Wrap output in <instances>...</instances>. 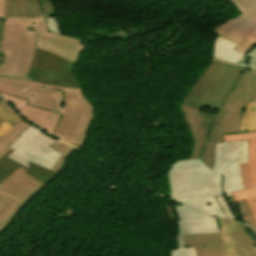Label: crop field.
Returning <instances> with one entry per match:
<instances>
[{
    "instance_id": "1",
    "label": "crop field",
    "mask_w": 256,
    "mask_h": 256,
    "mask_svg": "<svg viewBox=\"0 0 256 256\" xmlns=\"http://www.w3.org/2000/svg\"><path fill=\"white\" fill-rule=\"evenodd\" d=\"M239 163H248V140L216 143L212 170L199 159L176 161L167 174L170 199L202 208L213 217H225L214 198L225 195L241 221L231 194L244 190Z\"/></svg>"
},
{
    "instance_id": "2",
    "label": "crop field",
    "mask_w": 256,
    "mask_h": 256,
    "mask_svg": "<svg viewBox=\"0 0 256 256\" xmlns=\"http://www.w3.org/2000/svg\"><path fill=\"white\" fill-rule=\"evenodd\" d=\"M0 93L27 99L28 105L62 114L52 136L75 147L82 146L93 108L80 89L0 77Z\"/></svg>"
},
{
    "instance_id": "3",
    "label": "crop field",
    "mask_w": 256,
    "mask_h": 256,
    "mask_svg": "<svg viewBox=\"0 0 256 256\" xmlns=\"http://www.w3.org/2000/svg\"><path fill=\"white\" fill-rule=\"evenodd\" d=\"M36 47L57 54L74 65L83 49L79 40L48 31L45 17L3 19L1 52L5 57L1 75L25 78Z\"/></svg>"
},
{
    "instance_id": "4",
    "label": "crop field",
    "mask_w": 256,
    "mask_h": 256,
    "mask_svg": "<svg viewBox=\"0 0 256 256\" xmlns=\"http://www.w3.org/2000/svg\"><path fill=\"white\" fill-rule=\"evenodd\" d=\"M179 218L177 249H170V256H196L194 248H184L183 235L220 232L224 245L201 247L202 256H256V241L243 227L228 220L213 219L201 210L188 205L173 206Z\"/></svg>"
},
{
    "instance_id": "5",
    "label": "crop field",
    "mask_w": 256,
    "mask_h": 256,
    "mask_svg": "<svg viewBox=\"0 0 256 256\" xmlns=\"http://www.w3.org/2000/svg\"><path fill=\"white\" fill-rule=\"evenodd\" d=\"M243 69L210 62L181 104L217 111Z\"/></svg>"
},
{
    "instance_id": "6",
    "label": "crop field",
    "mask_w": 256,
    "mask_h": 256,
    "mask_svg": "<svg viewBox=\"0 0 256 256\" xmlns=\"http://www.w3.org/2000/svg\"><path fill=\"white\" fill-rule=\"evenodd\" d=\"M256 98V71L244 69L231 93L212 121L207 142L222 143L221 132L240 131L242 111L248 101Z\"/></svg>"
},
{
    "instance_id": "7",
    "label": "crop field",
    "mask_w": 256,
    "mask_h": 256,
    "mask_svg": "<svg viewBox=\"0 0 256 256\" xmlns=\"http://www.w3.org/2000/svg\"><path fill=\"white\" fill-rule=\"evenodd\" d=\"M20 136L8 147L14 150L8 158L27 168L30 166L27 163L32 162L52 170L62 155L48 147L56 140L32 125Z\"/></svg>"
},
{
    "instance_id": "8",
    "label": "crop field",
    "mask_w": 256,
    "mask_h": 256,
    "mask_svg": "<svg viewBox=\"0 0 256 256\" xmlns=\"http://www.w3.org/2000/svg\"><path fill=\"white\" fill-rule=\"evenodd\" d=\"M72 68L73 64L68 61L37 48L26 79L62 87L80 88L72 74Z\"/></svg>"
},
{
    "instance_id": "9",
    "label": "crop field",
    "mask_w": 256,
    "mask_h": 256,
    "mask_svg": "<svg viewBox=\"0 0 256 256\" xmlns=\"http://www.w3.org/2000/svg\"><path fill=\"white\" fill-rule=\"evenodd\" d=\"M180 109L193 139L190 159L199 158L212 169L215 143H206V138L214 114L184 105Z\"/></svg>"
},
{
    "instance_id": "10",
    "label": "crop field",
    "mask_w": 256,
    "mask_h": 256,
    "mask_svg": "<svg viewBox=\"0 0 256 256\" xmlns=\"http://www.w3.org/2000/svg\"><path fill=\"white\" fill-rule=\"evenodd\" d=\"M25 172L26 170L19 167L0 183L1 189L20 198L18 201L14 199L0 212V231L5 229L10 223V218L16 210L45 185L36 181Z\"/></svg>"
},
{
    "instance_id": "11",
    "label": "crop field",
    "mask_w": 256,
    "mask_h": 256,
    "mask_svg": "<svg viewBox=\"0 0 256 256\" xmlns=\"http://www.w3.org/2000/svg\"><path fill=\"white\" fill-rule=\"evenodd\" d=\"M240 15L216 28L218 35L239 44L245 37L256 43V0H229Z\"/></svg>"
},
{
    "instance_id": "12",
    "label": "crop field",
    "mask_w": 256,
    "mask_h": 256,
    "mask_svg": "<svg viewBox=\"0 0 256 256\" xmlns=\"http://www.w3.org/2000/svg\"><path fill=\"white\" fill-rule=\"evenodd\" d=\"M2 96L8 100V102L19 114H21L24 118H26L39 129L51 135L55 131L61 115L28 106L26 105V100L5 95Z\"/></svg>"
},
{
    "instance_id": "13",
    "label": "crop field",
    "mask_w": 256,
    "mask_h": 256,
    "mask_svg": "<svg viewBox=\"0 0 256 256\" xmlns=\"http://www.w3.org/2000/svg\"><path fill=\"white\" fill-rule=\"evenodd\" d=\"M36 16H43L37 0H6L4 17L27 18Z\"/></svg>"
},
{
    "instance_id": "14",
    "label": "crop field",
    "mask_w": 256,
    "mask_h": 256,
    "mask_svg": "<svg viewBox=\"0 0 256 256\" xmlns=\"http://www.w3.org/2000/svg\"><path fill=\"white\" fill-rule=\"evenodd\" d=\"M12 152L10 150L7 154H5L1 159H0V170H3L7 173H12L14 170H16L19 166V164L7 159L6 157ZM31 166L27 169L23 166V168L27 169L28 171L26 172L30 176L34 177L35 179L46 183L48 182L54 175L57 173H54L46 168L37 166L35 164L29 163Z\"/></svg>"
},
{
    "instance_id": "15",
    "label": "crop field",
    "mask_w": 256,
    "mask_h": 256,
    "mask_svg": "<svg viewBox=\"0 0 256 256\" xmlns=\"http://www.w3.org/2000/svg\"><path fill=\"white\" fill-rule=\"evenodd\" d=\"M236 46L237 44L217 35L213 44L212 57L239 64L246 54L233 50Z\"/></svg>"
},
{
    "instance_id": "16",
    "label": "crop field",
    "mask_w": 256,
    "mask_h": 256,
    "mask_svg": "<svg viewBox=\"0 0 256 256\" xmlns=\"http://www.w3.org/2000/svg\"><path fill=\"white\" fill-rule=\"evenodd\" d=\"M185 247H195L197 256H201V246H212L223 244L220 234H204V235H185L184 236Z\"/></svg>"
},
{
    "instance_id": "17",
    "label": "crop field",
    "mask_w": 256,
    "mask_h": 256,
    "mask_svg": "<svg viewBox=\"0 0 256 256\" xmlns=\"http://www.w3.org/2000/svg\"><path fill=\"white\" fill-rule=\"evenodd\" d=\"M249 139V166L254 187L256 186V133L224 136V141Z\"/></svg>"
},
{
    "instance_id": "18",
    "label": "crop field",
    "mask_w": 256,
    "mask_h": 256,
    "mask_svg": "<svg viewBox=\"0 0 256 256\" xmlns=\"http://www.w3.org/2000/svg\"><path fill=\"white\" fill-rule=\"evenodd\" d=\"M29 126L30 124L22 119L11 130H9L5 135L0 138V158L10 150L7 147L17 138H19L18 135Z\"/></svg>"
},
{
    "instance_id": "19",
    "label": "crop field",
    "mask_w": 256,
    "mask_h": 256,
    "mask_svg": "<svg viewBox=\"0 0 256 256\" xmlns=\"http://www.w3.org/2000/svg\"><path fill=\"white\" fill-rule=\"evenodd\" d=\"M244 129L256 130V104L249 103L246 105L241 121V131Z\"/></svg>"
},
{
    "instance_id": "20",
    "label": "crop field",
    "mask_w": 256,
    "mask_h": 256,
    "mask_svg": "<svg viewBox=\"0 0 256 256\" xmlns=\"http://www.w3.org/2000/svg\"><path fill=\"white\" fill-rule=\"evenodd\" d=\"M0 118L12 127L22 119L6 101L0 103Z\"/></svg>"
},
{
    "instance_id": "21",
    "label": "crop field",
    "mask_w": 256,
    "mask_h": 256,
    "mask_svg": "<svg viewBox=\"0 0 256 256\" xmlns=\"http://www.w3.org/2000/svg\"><path fill=\"white\" fill-rule=\"evenodd\" d=\"M49 147L55 149L56 151L62 153V157L59 159V161L56 163L55 167L53 168V171L57 172L59 171L62 163L66 160V158L71 154V152L73 150H75L74 148L61 143L59 141L54 142L52 145H50Z\"/></svg>"
},
{
    "instance_id": "22",
    "label": "crop field",
    "mask_w": 256,
    "mask_h": 256,
    "mask_svg": "<svg viewBox=\"0 0 256 256\" xmlns=\"http://www.w3.org/2000/svg\"><path fill=\"white\" fill-rule=\"evenodd\" d=\"M236 203H237L242 221L245 222L247 225L251 226L256 231V223L250 214V211L248 209V206L245 200L238 201Z\"/></svg>"
},
{
    "instance_id": "23",
    "label": "crop field",
    "mask_w": 256,
    "mask_h": 256,
    "mask_svg": "<svg viewBox=\"0 0 256 256\" xmlns=\"http://www.w3.org/2000/svg\"><path fill=\"white\" fill-rule=\"evenodd\" d=\"M239 67L256 70V46L245 56Z\"/></svg>"
},
{
    "instance_id": "24",
    "label": "crop field",
    "mask_w": 256,
    "mask_h": 256,
    "mask_svg": "<svg viewBox=\"0 0 256 256\" xmlns=\"http://www.w3.org/2000/svg\"><path fill=\"white\" fill-rule=\"evenodd\" d=\"M232 194H233L235 201L243 200V199H246V201H247V200L256 198V188H252V189H249L246 191H241V192H235Z\"/></svg>"
},
{
    "instance_id": "25",
    "label": "crop field",
    "mask_w": 256,
    "mask_h": 256,
    "mask_svg": "<svg viewBox=\"0 0 256 256\" xmlns=\"http://www.w3.org/2000/svg\"><path fill=\"white\" fill-rule=\"evenodd\" d=\"M241 166V172H242V177H243V182H244V188L249 189L252 188V181H251V176H250V171H249V166L248 164H240Z\"/></svg>"
},
{
    "instance_id": "26",
    "label": "crop field",
    "mask_w": 256,
    "mask_h": 256,
    "mask_svg": "<svg viewBox=\"0 0 256 256\" xmlns=\"http://www.w3.org/2000/svg\"><path fill=\"white\" fill-rule=\"evenodd\" d=\"M216 199H217L219 205L221 206L223 212L225 213L226 217H227V218L236 219L235 216H234V214L232 213V211H231V209H230V207H229V205H228V203H227L225 197H224V196H222V197H216ZM236 220H237V219H236Z\"/></svg>"
},
{
    "instance_id": "27",
    "label": "crop field",
    "mask_w": 256,
    "mask_h": 256,
    "mask_svg": "<svg viewBox=\"0 0 256 256\" xmlns=\"http://www.w3.org/2000/svg\"><path fill=\"white\" fill-rule=\"evenodd\" d=\"M256 44L253 42L249 41L248 39H244L236 48L235 50L248 53Z\"/></svg>"
},
{
    "instance_id": "28",
    "label": "crop field",
    "mask_w": 256,
    "mask_h": 256,
    "mask_svg": "<svg viewBox=\"0 0 256 256\" xmlns=\"http://www.w3.org/2000/svg\"><path fill=\"white\" fill-rule=\"evenodd\" d=\"M45 16L54 14L53 5L50 0H38Z\"/></svg>"
},
{
    "instance_id": "29",
    "label": "crop field",
    "mask_w": 256,
    "mask_h": 256,
    "mask_svg": "<svg viewBox=\"0 0 256 256\" xmlns=\"http://www.w3.org/2000/svg\"><path fill=\"white\" fill-rule=\"evenodd\" d=\"M46 20L49 30L59 34V28L55 19L53 17H46Z\"/></svg>"
},
{
    "instance_id": "30",
    "label": "crop field",
    "mask_w": 256,
    "mask_h": 256,
    "mask_svg": "<svg viewBox=\"0 0 256 256\" xmlns=\"http://www.w3.org/2000/svg\"><path fill=\"white\" fill-rule=\"evenodd\" d=\"M13 200V198L3 194L0 192V211L7 205L9 204L11 201ZM8 206V205H7ZM6 206V207H7Z\"/></svg>"
},
{
    "instance_id": "31",
    "label": "crop field",
    "mask_w": 256,
    "mask_h": 256,
    "mask_svg": "<svg viewBox=\"0 0 256 256\" xmlns=\"http://www.w3.org/2000/svg\"><path fill=\"white\" fill-rule=\"evenodd\" d=\"M248 206L250 208L251 214L254 217L255 221H256V199L252 200V201H248Z\"/></svg>"
},
{
    "instance_id": "32",
    "label": "crop field",
    "mask_w": 256,
    "mask_h": 256,
    "mask_svg": "<svg viewBox=\"0 0 256 256\" xmlns=\"http://www.w3.org/2000/svg\"><path fill=\"white\" fill-rule=\"evenodd\" d=\"M11 128L12 127H10L8 124L0 119V137Z\"/></svg>"
},
{
    "instance_id": "33",
    "label": "crop field",
    "mask_w": 256,
    "mask_h": 256,
    "mask_svg": "<svg viewBox=\"0 0 256 256\" xmlns=\"http://www.w3.org/2000/svg\"><path fill=\"white\" fill-rule=\"evenodd\" d=\"M4 6H5V0H0V17H3Z\"/></svg>"
},
{
    "instance_id": "34",
    "label": "crop field",
    "mask_w": 256,
    "mask_h": 256,
    "mask_svg": "<svg viewBox=\"0 0 256 256\" xmlns=\"http://www.w3.org/2000/svg\"><path fill=\"white\" fill-rule=\"evenodd\" d=\"M212 61L220 62V63H223V64L234 65V66H236V67H238V66H239V65H237V64L228 63V62H224V61L216 60V59H213V58H212Z\"/></svg>"
},
{
    "instance_id": "35",
    "label": "crop field",
    "mask_w": 256,
    "mask_h": 256,
    "mask_svg": "<svg viewBox=\"0 0 256 256\" xmlns=\"http://www.w3.org/2000/svg\"><path fill=\"white\" fill-rule=\"evenodd\" d=\"M8 174L3 172V171H0V182L7 176Z\"/></svg>"
},
{
    "instance_id": "36",
    "label": "crop field",
    "mask_w": 256,
    "mask_h": 256,
    "mask_svg": "<svg viewBox=\"0 0 256 256\" xmlns=\"http://www.w3.org/2000/svg\"><path fill=\"white\" fill-rule=\"evenodd\" d=\"M251 132H256V131H251ZM251 132H235V133H227V134H224V135L243 134V133H251Z\"/></svg>"
},
{
    "instance_id": "37",
    "label": "crop field",
    "mask_w": 256,
    "mask_h": 256,
    "mask_svg": "<svg viewBox=\"0 0 256 256\" xmlns=\"http://www.w3.org/2000/svg\"><path fill=\"white\" fill-rule=\"evenodd\" d=\"M1 35H2V19H0V38H1Z\"/></svg>"
},
{
    "instance_id": "38",
    "label": "crop field",
    "mask_w": 256,
    "mask_h": 256,
    "mask_svg": "<svg viewBox=\"0 0 256 256\" xmlns=\"http://www.w3.org/2000/svg\"><path fill=\"white\" fill-rule=\"evenodd\" d=\"M0 191H2V190H0ZM2 192H4V191H2ZM4 193H6V192H4ZM6 194H8V193H6ZM8 195H10V194H8ZM10 196H12V195H10ZM12 197H14V196H12ZM14 198L18 200V198H16V197H14Z\"/></svg>"
},
{
    "instance_id": "39",
    "label": "crop field",
    "mask_w": 256,
    "mask_h": 256,
    "mask_svg": "<svg viewBox=\"0 0 256 256\" xmlns=\"http://www.w3.org/2000/svg\"><path fill=\"white\" fill-rule=\"evenodd\" d=\"M4 99L0 96V102L3 101Z\"/></svg>"
},
{
    "instance_id": "40",
    "label": "crop field",
    "mask_w": 256,
    "mask_h": 256,
    "mask_svg": "<svg viewBox=\"0 0 256 256\" xmlns=\"http://www.w3.org/2000/svg\"><path fill=\"white\" fill-rule=\"evenodd\" d=\"M2 65H0V73H1Z\"/></svg>"
},
{
    "instance_id": "41",
    "label": "crop field",
    "mask_w": 256,
    "mask_h": 256,
    "mask_svg": "<svg viewBox=\"0 0 256 256\" xmlns=\"http://www.w3.org/2000/svg\"><path fill=\"white\" fill-rule=\"evenodd\" d=\"M253 103H255L256 102V99L254 100V101H252Z\"/></svg>"
}]
</instances>
